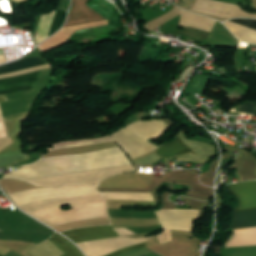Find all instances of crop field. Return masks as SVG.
Wrapping results in <instances>:
<instances>
[{
    "label": "crop field",
    "instance_id": "8a807250",
    "mask_svg": "<svg viewBox=\"0 0 256 256\" xmlns=\"http://www.w3.org/2000/svg\"><path fill=\"white\" fill-rule=\"evenodd\" d=\"M193 11L222 18H256V14L244 12L239 6L213 0H197Z\"/></svg>",
    "mask_w": 256,
    "mask_h": 256
},
{
    "label": "crop field",
    "instance_id": "ac0d7876",
    "mask_svg": "<svg viewBox=\"0 0 256 256\" xmlns=\"http://www.w3.org/2000/svg\"><path fill=\"white\" fill-rule=\"evenodd\" d=\"M41 71L0 80V94L34 90Z\"/></svg>",
    "mask_w": 256,
    "mask_h": 256
},
{
    "label": "crop field",
    "instance_id": "34b2d1b8",
    "mask_svg": "<svg viewBox=\"0 0 256 256\" xmlns=\"http://www.w3.org/2000/svg\"><path fill=\"white\" fill-rule=\"evenodd\" d=\"M239 200V207L234 211L256 209V181L224 186Z\"/></svg>",
    "mask_w": 256,
    "mask_h": 256
},
{
    "label": "crop field",
    "instance_id": "412701ff",
    "mask_svg": "<svg viewBox=\"0 0 256 256\" xmlns=\"http://www.w3.org/2000/svg\"><path fill=\"white\" fill-rule=\"evenodd\" d=\"M69 237L73 242H84L96 239H105L116 237L111 226H101V227H87L82 229L71 230L62 233Z\"/></svg>",
    "mask_w": 256,
    "mask_h": 256
},
{
    "label": "crop field",
    "instance_id": "f4fd0767",
    "mask_svg": "<svg viewBox=\"0 0 256 256\" xmlns=\"http://www.w3.org/2000/svg\"><path fill=\"white\" fill-rule=\"evenodd\" d=\"M232 22H236L245 25L249 28L256 30V20H244V19H232ZM229 21L223 24L240 40L249 43L256 44V31L249 29L245 26L235 24Z\"/></svg>",
    "mask_w": 256,
    "mask_h": 256
},
{
    "label": "crop field",
    "instance_id": "dd49c442",
    "mask_svg": "<svg viewBox=\"0 0 256 256\" xmlns=\"http://www.w3.org/2000/svg\"><path fill=\"white\" fill-rule=\"evenodd\" d=\"M182 10V9H181ZM181 25H185L188 27L204 30L210 32L212 27L215 24V21L205 18L196 14H192L189 12L181 11Z\"/></svg>",
    "mask_w": 256,
    "mask_h": 256
},
{
    "label": "crop field",
    "instance_id": "e52e79f7",
    "mask_svg": "<svg viewBox=\"0 0 256 256\" xmlns=\"http://www.w3.org/2000/svg\"><path fill=\"white\" fill-rule=\"evenodd\" d=\"M256 226V210L235 212L232 219V228Z\"/></svg>",
    "mask_w": 256,
    "mask_h": 256
},
{
    "label": "crop field",
    "instance_id": "d8731c3e",
    "mask_svg": "<svg viewBox=\"0 0 256 256\" xmlns=\"http://www.w3.org/2000/svg\"><path fill=\"white\" fill-rule=\"evenodd\" d=\"M42 64H46V63L38 57L25 59V60H21V61H17L14 63L0 66V74L14 72V71H18L21 69H25V68H29V67H33V66H37V65H42Z\"/></svg>",
    "mask_w": 256,
    "mask_h": 256
},
{
    "label": "crop field",
    "instance_id": "5a996713",
    "mask_svg": "<svg viewBox=\"0 0 256 256\" xmlns=\"http://www.w3.org/2000/svg\"><path fill=\"white\" fill-rule=\"evenodd\" d=\"M165 145V144H164ZM190 151L186 148L178 138L168 142L165 146L156 151L161 158L174 156L180 153Z\"/></svg>",
    "mask_w": 256,
    "mask_h": 256
},
{
    "label": "crop field",
    "instance_id": "3316defc",
    "mask_svg": "<svg viewBox=\"0 0 256 256\" xmlns=\"http://www.w3.org/2000/svg\"><path fill=\"white\" fill-rule=\"evenodd\" d=\"M57 248L63 251L65 254L62 256H84L74 245L68 240L55 233L51 239H49Z\"/></svg>",
    "mask_w": 256,
    "mask_h": 256
},
{
    "label": "crop field",
    "instance_id": "28ad6ade",
    "mask_svg": "<svg viewBox=\"0 0 256 256\" xmlns=\"http://www.w3.org/2000/svg\"><path fill=\"white\" fill-rule=\"evenodd\" d=\"M67 12L66 11H62V10H58L57 9V13L54 17V21L52 23L51 26V30L49 32V36H51L55 31H57L58 29L61 28V26L64 23L65 17H66Z\"/></svg>",
    "mask_w": 256,
    "mask_h": 256
},
{
    "label": "crop field",
    "instance_id": "d1516ede",
    "mask_svg": "<svg viewBox=\"0 0 256 256\" xmlns=\"http://www.w3.org/2000/svg\"><path fill=\"white\" fill-rule=\"evenodd\" d=\"M239 115H252L256 116V103L252 101L238 105Z\"/></svg>",
    "mask_w": 256,
    "mask_h": 256
},
{
    "label": "crop field",
    "instance_id": "22f410ed",
    "mask_svg": "<svg viewBox=\"0 0 256 256\" xmlns=\"http://www.w3.org/2000/svg\"><path fill=\"white\" fill-rule=\"evenodd\" d=\"M144 244H145V242L141 243V244H138V245L131 246V247L123 248V249H120V250H118L116 252L109 253V254H107L105 256H119V255H121V254H123V253H125L127 251L143 247Z\"/></svg>",
    "mask_w": 256,
    "mask_h": 256
},
{
    "label": "crop field",
    "instance_id": "cbeb9de0",
    "mask_svg": "<svg viewBox=\"0 0 256 256\" xmlns=\"http://www.w3.org/2000/svg\"><path fill=\"white\" fill-rule=\"evenodd\" d=\"M158 241L160 244L170 242V231L163 230L158 236Z\"/></svg>",
    "mask_w": 256,
    "mask_h": 256
},
{
    "label": "crop field",
    "instance_id": "5142ce71",
    "mask_svg": "<svg viewBox=\"0 0 256 256\" xmlns=\"http://www.w3.org/2000/svg\"><path fill=\"white\" fill-rule=\"evenodd\" d=\"M8 99L4 95H0V102L7 101Z\"/></svg>",
    "mask_w": 256,
    "mask_h": 256
},
{
    "label": "crop field",
    "instance_id": "d9b57169",
    "mask_svg": "<svg viewBox=\"0 0 256 256\" xmlns=\"http://www.w3.org/2000/svg\"><path fill=\"white\" fill-rule=\"evenodd\" d=\"M119 236V235H118Z\"/></svg>",
    "mask_w": 256,
    "mask_h": 256
}]
</instances>
